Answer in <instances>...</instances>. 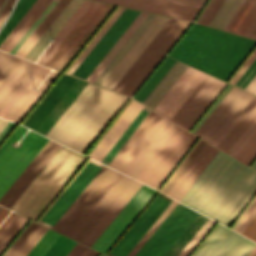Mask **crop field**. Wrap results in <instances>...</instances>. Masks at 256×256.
<instances>
[{"instance_id":"crop-field-1","label":"crop field","mask_w":256,"mask_h":256,"mask_svg":"<svg viewBox=\"0 0 256 256\" xmlns=\"http://www.w3.org/2000/svg\"><path fill=\"white\" fill-rule=\"evenodd\" d=\"M102 167L90 163V162ZM56 198V202L45 211L42 220L54 224L51 226L40 219L38 222L71 237L89 247L101 235L122 207L127 203L141 183L102 166L92 160ZM142 186V185H141Z\"/></svg>"},{"instance_id":"crop-field-2","label":"crop field","mask_w":256,"mask_h":256,"mask_svg":"<svg viewBox=\"0 0 256 256\" xmlns=\"http://www.w3.org/2000/svg\"><path fill=\"white\" fill-rule=\"evenodd\" d=\"M255 192L256 172L219 151L180 202L228 227Z\"/></svg>"},{"instance_id":"crop-field-3","label":"crop field","mask_w":256,"mask_h":256,"mask_svg":"<svg viewBox=\"0 0 256 256\" xmlns=\"http://www.w3.org/2000/svg\"><path fill=\"white\" fill-rule=\"evenodd\" d=\"M128 98L88 83L46 136L84 154Z\"/></svg>"},{"instance_id":"crop-field-4","label":"crop field","mask_w":256,"mask_h":256,"mask_svg":"<svg viewBox=\"0 0 256 256\" xmlns=\"http://www.w3.org/2000/svg\"><path fill=\"white\" fill-rule=\"evenodd\" d=\"M255 45L256 41L194 23L169 56L227 81Z\"/></svg>"},{"instance_id":"crop-field-5","label":"crop field","mask_w":256,"mask_h":256,"mask_svg":"<svg viewBox=\"0 0 256 256\" xmlns=\"http://www.w3.org/2000/svg\"><path fill=\"white\" fill-rule=\"evenodd\" d=\"M85 159L61 146L10 209L36 221Z\"/></svg>"},{"instance_id":"crop-field-6","label":"crop field","mask_w":256,"mask_h":256,"mask_svg":"<svg viewBox=\"0 0 256 256\" xmlns=\"http://www.w3.org/2000/svg\"><path fill=\"white\" fill-rule=\"evenodd\" d=\"M176 126L150 110L108 166L136 179Z\"/></svg>"},{"instance_id":"crop-field-7","label":"crop field","mask_w":256,"mask_h":256,"mask_svg":"<svg viewBox=\"0 0 256 256\" xmlns=\"http://www.w3.org/2000/svg\"><path fill=\"white\" fill-rule=\"evenodd\" d=\"M25 130L18 125L0 147V197L48 141L29 130L17 149L11 147V143L17 142Z\"/></svg>"},{"instance_id":"crop-field-8","label":"crop field","mask_w":256,"mask_h":256,"mask_svg":"<svg viewBox=\"0 0 256 256\" xmlns=\"http://www.w3.org/2000/svg\"><path fill=\"white\" fill-rule=\"evenodd\" d=\"M255 98L233 86L194 134L217 147Z\"/></svg>"},{"instance_id":"crop-field-9","label":"crop field","mask_w":256,"mask_h":256,"mask_svg":"<svg viewBox=\"0 0 256 256\" xmlns=\"http://www.w3.org/2000/svg\"><path fill=\"white\" fill-rule=\"evenodd\" d=\"M197 138L177 126L137 180L158 189Z\"/></svg>"},{"instance_id":"crop-field-10","label":"crop field","mask_w":256,"mask_h":256,"mask_svg":"<svg viewBox=\"0 0 256 256\" xmlns=\"http://www.w3.org/2000/svg\"><path fill=\"white\" fill-rule=\"evenodd\" d=\"M198 214L178 203L135 256H164Z\"/></svg>"},{"instance_id":"crop-field-11","label":"crop field","mask_w":256,"mask_h":256,"mask_svg":"<svg viewBox=\"0 0 256 256\" xmlns=\"http://www.w3.org/2000/svg\"><path fill=\"white\" fill-rule=\"evenodd\" d=\"M110 7V5L94 2L50 58L45 62L44 66L60 70Z\"/></svg>"},{"instance_id":"crop-field-12","label":"crop field","mask_w":256,"mask_h":256,"mask_svg":"<svg viewBox=\"0 0 256 256\" xmlns=\"http://www.w3.org/2000/svg\"><path fill=\"white\" fill-rule=\"evenodd\" d=\"M157 191L142 186L132 196L92 248L106 254Z\"/></svg>"},{"instance_id":"crop-field-13","label":"crop field","mask_w":256,"mask_h":256,"mask_svg":"<svg viewBox=\"0 0 256 256\" xmlns=\"http://www.w3.org/2000/svg\"><path fill=\"white\" fill-rule=\"evenodd\" d=\"M226 85L207 75L170 120L189 130Z\"/></svg>"},{"instance_id":"crop-field-14","label":"crop field","mask_w":256,"mask_h":256,"mask_svg":"<svg viewBox=\"0 0 256 256\" xmlns=\"http://www.w3.org/2000/svg\"><path fill=\"white\" fill-rule=\"evenodd\" d=\"M242 237L218 224L192 256H247L256 244Z\"/></svg>"},{"instance_id":"crop-field-15","label":"crop field","mask_w":256,"mask_h":256,"mask_svg":"<svg viewBox=\"0 0 256 256\" xmlns=\"http://www.w3.org/2000/svg\"><path fill=\"white\" fill-rule=\"evenodd\" d=\"M138 13L139 11L125 8L116 21L99 40V42L95 45V47L91 50V52L87 55V57L74 71L73 75L86 79L90 72L95 68L103 56L108 52L116 40L138 15Z\"/></svg>"},{"instance_id":"crop-field-16","label":"crop field","mask_w":256,"mask_h":256,"mask_svg":"<svg viewBox=\"0 0 256 256\" xmlns=\"http://www.w3.org/2000/svg\"><path fill=\"white\" fill-rule=\"evenodd\" d=\"M159 195L172 201V199L160 193ZM169 203L170 201L157 195L150 205L139 216V218L134 222V224L123 235V237L112 248L110 253L116 256H126L149 229V227L154 223V221L159 217V215L164 211V209L169 205ZM110 253H108V256H114Z\"/></svg>"},{"instance_id":"crop-field-17","label":"crop field","mask_w":256,"mask_h":256,"mask_svg":"<svg viewBox=\"0 0 256 256\" xmlns=\"http://www.w3.org/2000/svg\"><path fill=\"white\" fill-rule=\"evenodd\" d=\"M205 76L188 66L153 110L170 119Z\"/></svg>"},{"instance_id":"crop-field-18","label":"crop field","mask_w":256,"mask_h":256,"mask_svg":"<svg viewBox=\"0 0 256 256\" xmlns=\"http://www.w3.org/2000/svg\"><path fill=\"white\" fill-rule=\"evenodd\" d=\"M190 22L178 20L154 51L144 61L131 79L121 89L120 93L131 96L137 87L142 83L158 61L163 57L179 35L184 31Z\"/></svg>"},{"instance_id":"crop-field-19","label":"crop field","mask_w":256,"mask_h":256,"mask_svg":"<svg viewBox=\"0 0 256 256\" xmlns=\"http://www.w3.org/2000/svg\"><path fill=\"white\" fill-rule=\"evenodd\" d=\"M168 19V17L157 15L107 78L102 82L101 86L112 89Z\"/></svg>"},{"instance_id":"crop-field-20","label":"crop field","mask_w":256,"mask_h":256,"mask_svg":"<svg viewBox=\"0 0 256 256\" xmlns=\"http://www.w3.org/2000/svg\"><path fill=\"white\" fill-rule=\"evenodd\" d=\"M60 145L48 141L37 156L31 161L6 193L1 197L0 204L10 207L21 192L27 187L42 167L48 162L52 155L57 151Z\"/></svg>"},{"instance_id":"crop-field-21","label":"crop field","mask_w":256,"mask_h":256,"mask_svg":"<svg viewBox=\"0 0 256 256\" xmlns=\"http://www.w3.org/2000/svg\"><path fill=\"white\" fill-rule=\"evenodd\" d=\"M50 71L51 69L43 67L42 70L28 85V87L14 102V104L4 114L3 118L19 123L20 120L25 116V114L30 110L34 103L39 99V97L44 93V91L59 74V72L53 71L36 93L28 91L31 86L37 88Z\"/></svg>"},{"instance_id":"crop-field-22","label":"crop field","mask_w":256,"mask_h":256,"mask_svg":"<svg viewBox=\"0 0 256 256\" xmlns=\"http://www.w3.org/2000/svg\"><path fill=\"white\" fill-rule=\"evenodd\" d=\"M102 2L117 4L121 6L141 9L145 11L160 13L164 15L193 20L198 8L169 3L160 0H98Z\"/></svg>"},{"instance_id":"crop-field-23","label":"crop field","mask_w":256,"mask_h":256,"mask_svg":"<svg viewBox=\"0 0 256 256\" xmlns=\"http://www.w3.org/2000/svg\"><path fill=\"white\" fill-rule=\"evenodd\" d=\"M218 151L219 150L206 143L172 188L168 191L167 195L179 201Z\"/></svg>"},{"instance_id":"crop-field-24","label":"crop field","mask_w":256,"mask_h":256,"mask_svg":"<svg viewBox=\"0 0 256 256\" xmlns=\"http://www.w3.org/2000/svg\"><path fill=\"white\" fill-rule=\"evenodd\" d=\"M142 107L143 105L132 100L94 150L90 153L89 157L100 162L136 117Z\"/></svg>"},{"instance_id":"crop-field-25","label":"crop field","mask_w":256,"mask_h":256,"mask_svg":"<svg viewBox=\"0 0 256 256\" xmlns=\"http://www.w3.org/2000/svg\"><path fill=\"white\" fill-rule=\"evenodd\" d=\"M75 80L76 78L63 74L22 125L35 131Z\"/></svg>"},{"instance_id":"crop-field-26","label":"crop field","mask_w":256,"mask_h":256,"mask_svg":"<svg viewBox=\"0 0 256 256\" xmlns=\"http://www.w3.org/2000/svg\"><path fill=\"white\" fill-rule=\"evenodd\" d=\"M224 30L256 39V0H243Z\"/></svg>"},{"instance_id":"crop-field-27","label":"crop field","mask_w":256,"mask_h":256,"mask_svg":"<svg viewBox=\"0 0 256 256\" xmlns=\"http://www.w3.org/2000/svg\"><path fill=\"white\" fill-rule=\"evenodd\" d=\"M83 1L84 0H71L63 9V11L58 15V17L54 20V22L49 26V28L44 32V34L40 37V39L35 43L31 50L26 54L25 58L35 61L50 43L49 41H47L50 36L54 37L56 35V33L72 16V14L77 10V8L82 4Z\"/></svg>"},{"instance_id":"crop-field-28","label":"crop field","mask_w":256,"mask_h":256,"mask_svg":"<svg viewBox=\"0 0 256 256\" xmlns=\"http://www.w3.org/2000/svg\"><path fill=\"white\" fill-rule=\"evenodd\" d=\"M50 1L51 0H37L0 44V49L9 52L45 7L50 3Z\"/></svg>"},{"instance_id":"crop-field-29","label":"crop field","mask_w":256,"mask_h":256,"mask_svg":"<svg viewBox=\"0 0 256 256\" xmlns=\"http://www.w3.org/2000/svg\"><path fill=\"white\" fill-rule=\"evenodd\" d=\"M47 228L31 221L3 256H26Z\"/></svg>"},{"instance_id":"crop-field-30","label":"crop field","mask_w":256,"mask_h":256,"mask_svg":"<svg viewBox=\"0 0 256 256\" xmlns=\"http://www.w3.org/2000/svg\"><path fill=\"white\" fill-rule=\"evenodd\" d=\"M186 67L187 65L176 61L142 103L153 109Z\"/></svg>"},{"instance_id":"crop-field-31","label":"crop field","mask_w":256,"mask_h":256,"mask_svg":"<svg viewBox=\"0 0 256 256\" xmlns=\"http://www.w3.org/2000/svg\"><path fill=\"white\" fill-rule=\"evenodd\" d=\"M176 19L170 18L169 21L164 25L160 32L155 36L151 43L146 47L142 54L137 58V60L132 64L128 71L123 75L119 82L114 86L113 90L119 92L120 89L125 85V83L130 79L134 72L139 68L143 61L148 57V55L153 51L157 44L162 40L166 33L171 29V27L176 23Z\"/></svg>"},{"instance_id":"crop-field-32","label":"crop field","mask_w":256,"mask_h":256,"mask_svg":"<svg viewBox=\"0 0 256 256\" xmlns=\"http://www.w3.org/2000/svg\"><path fill=\"white\" fill-rule=\"evenodd\" d=\"M155 14L149 13L148 16L143 20L135 32L130 36L122 48L117 52L113 59L108 63L100 75L95 79L94 83L100 85L101 82L106 78L110 71L115 67L119 60L124 56L132 44L137 40L141 33L146 29L150 22L155 18Z\"/></svg>"},{"instance_id":"crop-field-33","label":"crop field","mask_w":256,"mask_h":256,"mask_svg":"<svg viewBox=\"0 0 256 256\" xmlns=\"http://www.w3.org/2000/svg\"><path fill=\"white\" fill-rule=\"evenodd\" d=\"M147 14L148 13L145 12L139 13V15L130 24V26L126 29V31L122 34L118 41L113 45V47L109 50V52L105 55V57L101 60L97 67L88 76V78L86 79L87 81H94V79L99 75V73L103 70L107 63L112 59V57L116 54L120 47L129 38V36L134 32V30L138 27L142 20L147 16Z\"/></svg>"},{"instance_id":"crop-field-34","label":"crop field","mask_w":256,"mask_h":256,"mask_svg":"<svg viewBox=\"0 0 256 256\" xmlns=\"http://www.w3.org/2000/svg\"><path fill=\"white\" fill-rule=\"evenodd\" d=\"M255 117L256 100L252 103V105L248 108L240 120L235 124V126L231 129L223 141L219 144L218 148L227 152Z\"/></svg>"},{"instance_id":"crop-field-35","label":"crop field","mask_w":256,"mask_h":256,"mask_svg":"<svg viewBox=\"0 0 256 256\" xmlns=\"http://www.w3.org/2000/svg\"><path fill=\"white\" fill-rule=\"evenodd\" d=\"M70 0H59L54 8L49 12L45 19L40 23L36 30L31 34L23 46L18 50L16 55L24 57L29 51L36 40L41 36V34L46 30V28L51 24V22L56 18V16L61 12V10L66 6Z\"/></svg>"},{"instance_id":"crop-field-36","label":"crop field","mask_w":256,"mask_h":256,"mask_svg":"<svg viewBox=\"0 0 256 256\" xmlns=\"http://www.w3.org/2000/svg\"><path fill=\"white\" fill-rule=\"evenodd\" d=\"M92 1L85 0L84 3L79 7V9L75 12V14L70 18V20L66 23V25L62 28V30L57 34L56 42L54 44H50V46L46 49V51L42 54V56L38 59L37 63L43 65L44 62L48 59V57L53 53V51L57 48V46L61 43V41L66 37V35L70 32V30L74 27V25L79 21V19L83 16V14L87 11V9L92 5Z\"/></svg>"},{"instance_id":"crop-field-37","label":"crop field","mask_w":256,"mask_h":256,"mask_svg":"<svg viewBox=\"0 0 256 256\" xmlns=\"http://www.w3.org/2000/svg\"><path fill=\"white\" fill-rule=\"evenodd\" d=\"M241 1L242 0H224L209 25L224 29Z\"/></svg>"},{"instance_id":"crop-field-38","label":"crop field","mask_w":256,"mask_h":256,"mask_svg":"<svg viewBox=\"0 0 256 256\" xmlns=\"http://www.w3.org/2000/svg\"><path fill=\"white\" fill-rule=\"evenodd\" d=\"M36 0H19L17 6L0 32V43L8 35V33L13 29V27L18 23L22 16L27 12V10L32 6Z\"/></svg>"},{"instance_id":"crop-field-39","label":"crop field","mask_w":256,"mask_h":256,"mask_svg":"<svg viewBox=\"0 0 256 256\" xmlns=\"http://www.w3.org/2000/svg\"><path fill=\"white\" fill-rule=\"evenodd\" d=\"M27 219L15 214L9 223L0 232V253L26 223Z\"/></svg>"},{"instance_id":"crop-field-40","label":"crop field","mask_w":256,"mask_h":256,"mask_svg":"<svg viewBox=\"0 0 256 256\" xmlns=\"http://www.w3.org/2000/svg\"><path fill=\"white\" fill-rule=\"evenodd\" d=\"M175 60L167 57L162 65L157 69L145 86L136 95L135 99L143 101V99L148 95V93L153 89V87L158 83V81L163 77V75L168 71V69L173 65Z\"/></svg>"},{"instance_id":"crop-field-41","label":"crop field","mask_w":256,"mask_h":256,"mask_svg":"<svg viewBox=\"0 0 256 256\" xmlns=\"http://www.w3.org/2000/svg\"><path fill=\"white\" fill-rule=\"evenodd\" d=\"M146 111H149L147 107L144 106ZM141 110V112L138 114V116L134 119V121L130 124V126L127 128V130L123 133V135L120 137V139L116 142V144L113 146V148L109 151V153L106 155L104 160L110 161V159L114 156V154L118 151V149L122 146V144L126 141V139L130 136V134L134 131V129L137 127V125L141 122V120L145 117V115L148 113L145 110ZM102 163L107 165V162L102 161Z\"/></svg>"},{"instance_id":"crop-field-42","label":"crop field","mask_w":256,"mask_h":256,"mask_svg":"<svg viewBox=\"0 0 256 256\" xmlns=\"http://www.w3.org/2000/svg\"><path fill=\"white\" fill-rule=\"evenodd\" d=\"M205 142L199 141V143L195 146V148L191 151V153L187 156V158L183 161V163L178 167V169L174 172V174L170 177V179L166 182V184L162 187L160 191L163 193H167V191L171 188L174 182L178 179V177L182 174L185 168L189 165V163L193 160V158L197 155L200 149L204 146Z\"/></svg>"},{"instance_id":"crop-field-43","label":"crop field","mask_w":256,"mask_h":256,"mask_svg":"<svg viewBox=\"0 0 256 256\" xmlns=\"http://www.w3.org/2000/svg\"><path fill=\"white\" fill-rule=\"evenodd\" d=\"M76 242L60 235L43 256H66Z\"/></svg>"},{"instance_id":"crop-field-44","label":"crop field","mask_w":256,"mask_h":256,"mask_svg":"<svg viewBox=\"0 0 256 256\" xmlns=\"http://www.w3.org/2000/svg\"><path fill=\"white\" fill-rule=\"evenodd\" d=\"M256 157V132L251 136V138L246 142V144L241 148V150L236 154L234 158L240 160L246 165L250 163Z\"/></svg>"},{"instance_id":"crop-field-45","label":"crop field","mask_w":256,"mask_h":256,"mask_svg":"<svg viewBox=\"0 0 256 256\" xmlns=\"http://www.w3.org/2000/svg\"><path fill=\"white\" fill-rule=\"evenodd\" d=\"M58 236L59 234L48 229L27 256H42Z\"/></svg>"},{"instance_id":"crop-field-46","label":"crop field","mask_w":256,"mask_h":256,"mask_svg":"<svg viewBox=\"0 0 256 256\" xmlns=\"http://www.w3.org/2000/svg\"><path fill=\"white\" fill-rule=\"evenodd\" d=\"M214 224L215 222L208 219L178 256H188L198 245V243L203 239V237L208 233V231L213 227Z\"/></svg>"},{"instance_id":"crop-field-47","label":"crop field","mask_w":256,"mask_h":256,"mask_svg":"<svg viewBox=\"0 0 256 256\" xmlns=\"http://www.w3.org/2000/svg\"><path fill=\"white\" fill-rule=\"evenodd\" d=\"M30 61L21 59L12 72L7 76V78L0 85V98L5 94L9 87L14 83V81L19 77V75L24 71V69L29 65Z\"/></svg>"},{"instance_id":"crop-field-48","label":"crop field","mask_w":256,"mask_h":256,"mask_svg":"<svg viewBox=\"0 0 256 256\" xmlns=\"http://www.w3.org/2000/svg\"><path fill=\"white\" fill-rule=\"evenodd\" d=\"M20 58L0 51V84L19 62Z\"/></svg>"},{"instance_id":"crop-field-49","label":"crop field","mask_w":256,"mask_h":256,"mask_svg":"<svg viewBox=\"0 0 256 256\" xmlns=\"http://www.w3.org/2000/svg\"><path fill=\"white\" fill-rule=\"evenodd\" d=\"M222 2L223 0H209L200 15L198 16L196 22L208 25Z\"/></svg>"},{"instance_id":"crop-field-50","label":"crop field","mask_w":256,"mask_h":256,"mask_svg":"<svg viewBox=\"0 0 256 256\" xmlns=\"http://www.w3.org/2000/svg\"><path fill=\"white\" fill-rule=\"evenodd\" d=\"M42 66L37 65L36 68L31 72V74L26 78L22 85L17 89V91L12 95L8 102L0 110V117L8 110V108L13 104L17 97L22 93V91L27 87L31 80L36 76V74L41 70ZM23 88V89H21Z\"/></svg>"},{"instance_id":"crop-field-51","label":"crop field","mask_w":256,"mask_h":256,"mask_svg":"<svg viewBox=\"0 0 256 256\" xmlns=\"http://www.w3.org/2000/svg\"><path fill=\"white\" fill-rule=\"evenodd\" d=\"M178 202L172 201V203L167 207V209L162 213V215L157 219L153 226L148 230V232L143 236L139 243L134 247V249L129 253L128 256H133L138 249L143 245L147 238L152 234V232L157 228V226L162 222V220L170 213V211L175 207Z\"/></svg>"},{"instance_id":"crop-field-52","label":"crop field","mask_w":256,"mask_h":256,"mask_svg":"<svg viewBox=\"0 0 256 256\" xmlns=\"http://www.w3.org/2000/svg\"><path fill=\"white\" fill-rule=\"evenodd\" d=\"M256 130V118L253 122L248 126V128L243 132V134L239 137V139L234 143V145L229 149L227 153L231 156H235V154L240 150V148L245 144V142L250 138V136Z\"/></svg>"},{"instance_id":"crop-field-53","label":"crop field","mask_w":256,"mask_h":256,"mask_svg":"<svg viewBox=\"0 0 256 256\" xmlns=\"http://www.w3.org/2000/svg\"><path fill=\"white\" fill-rule=\"evenodd\" d=\"M36 64L30 63V65L25 69V71L20 75V77L15 81L11 88L6 92V94L0 100V109L11 97V95L16 91V89L21 85L25 78L30 74V72L35 68Z\"/></svg>"},{"instance_id":"crop-field-54","label":"crop field","mask_w":256,"mask_h":256,"mask_svg":"<svg viewBox=\"0 0 256 256\" xmlns=\"http://www.w3.org/2000/svg\"><path fill=\"white\" fill-rule=\"evenodd\" d=\"M58 0H53L49 6L45 9V11L41 14V16L36 20V22L32 25V27L27 31V33L23 36V38L19 41V43L14 47V49L10 52L15 54L16 51L21 47V45L25 42V40L30 36V34L34 31V29L38 26V24L43 20V18L47 15V13L52 9V7L56 4ZM58 3V2H57ZM54 8V7H53ZM49 14V13H48ZM45 19V18H44ZM36 30V29H35ZM27 41V40H26ZM23 46V45H22ZM18 52V51H17Z\"/></svg>"},{"instance_id":"crop-field-55","label":"crop field","mask_w":256,"mask_h":256,"mask_svg":"<svg viewBox=\"0 0 256 256\" xmlns=\"http://www.w3.org/2000/svg\"><path fill=\"white\" fill-rule=\"evenodd\" d=\"M255 74H256V59L245 71V73L240 77V79L236 82L235 86L244 89L245 86L250 82V80L254 77Z\"/></svg>"},{"instance_id":"crop-field-56","label":"crop field","mask_w":256,"mask_h":256,"mask_svg":"<svg viewBox=\"0 0 256 256\" xmlns=\"http://www.w3.org/2000/svg\"><path fill=\"white\" fill-rule=\"evenodd\" d=\"M256 215V201L253 204V206L250 208V210L247 212V214L244 216V218L241 220V222L238 224V226L235 228V231L239 233H243V231L246 229V227L249 225V223L252 221V219Z\"/></svg>"},{"instance_id":"crop-field-57","label":"crop field","mask_w":256,"mask_h":256,"mask_svg":"<svg viewBox=\"0 0 256 256\" xmlns=\"http://www.w3.org/2000/svg\"><path fill=\"white\" fill-rule=\"evenodd\" d=\"M256 58V48L251 53V55L247 58V60L242 64V66L238 69V71L234 74V76L230 79L229 83L235 84V82L239 79V77L244 73V71L248 68V66L252 63V61Z\"/></svg>"},{"instance_id":"crop-field-58","label":"crop field","mask_w":256,"mask_h":256,"mask_svg":"<svg viewBox=\"0 0 256 256\" xmlns=\"http://www.w3.org/2000/svg\"><path fill=\"white\" fill-rule=\"evenodd\" d=\"M242 235L256 242V217L253 219V221L250 223V225L247 227Z\"/></svg>"},{"instance_id":"crop-field-59","label":"crop field","mask_w":256,"mask_h":256,"mask_svg":"<svg viewBox=\"0 0 256 256\" xmlns=\"http://www.w3.org/2000/svg\"><path fill=\"white\" fill-rule=\"evenodd\" d=\"M165 1L189 5V6L198 7V8H201L203 3L205 2V0H165Z\"/></svg>"},{"instance_id":"crop-field-60","label":"crop field","mask_w":256,"mask_h":256,"mask_svg":"<svg viewBox=\"0 0 256 256\" xmlns=\"http://www.w3.org/2000/svg\"><path fill=\"white\" fill-rule=\"evenodd\" d=\"M8 212H9V210H7V209H5V208L2 209V211L0 212V222L4 219V217L8 214ZM10 213H11V211L9 212V214H10ZM9 214L5 217V219L9 216ZM14 214H15V213L12 212V213L10 214V216H9L6 220L4 219V220H5L4 223H3L4 220L1 222V224H2V223H3V224H2V225L0 224V225H1V226H0V231H1V230L3 229V227L8 223V221L13 217Z\"/></svg>"},{"instance_id":"crop-field-61","label":"crop field","mask_w":256,"mask_h":256,"mask_svg":"<svg viewBox=\"0 0 256 256\" xmlns=\"http://www.w3.org/2000/svg\"><path fill=\"white\" fill-rule=\"evenodd\" d=\"M15 123L9 122L8 125L0 133V143L5 139V137L10 133V131L15 127Z\"/></svg>"},{"instance_id":"crop-field-62","label":"crop field","mask_w":256,"mask_h":256,"mask_svg":"<svg viewBox=\"0 0 256 256\" xmlns=\"http://www.w3.org/2000/svg\"><path fill=\"white\" fill-rule=\"evenodd\" d=\"M255 200H256V195L251 200V202L247 205V207L244 209V211L241 213V215L238 217L235 223L232 225L231 229L234 230V228L237 226V224L240 222V220L243 218V216L246 214V212L249 210V208L251 207V205L254 203Z\"/></svg>"},{"instance_id":"crop-field-63","label":"crop field","mask_w":256,"mask_h":256,"mask_svg":"<svg viewBox=\"0 0 256 256\" xmlns=\"http://www.w3.org/2000/svg\"><path fill=\"white\" fill-rule=\"evenodd\" d=\"M84 248L85 246L77 243L67 256H79V254L84 250Z\"/></svg>"},{"instance_id":"crop-field-64","label":"crop field","mask_w":256,"mask_h":256,"mask_svg":"<svg viewBox=\"0 0 256 256\" xmlns=\"http://www.w3.org/2000/svg\"><path fill=\"white\" fill-rule=\"evenodd\" d=\"M124 8L117 14V16L113 19V21L108 25V27L104 30V32L100 35V37L96 40V42L92 45V47L88 50V52L84 55V57L79 61V63L75 66V68L71 71L72 72L76 69V67L81 63V61L85 58V56L89 53V51L93 48V46L97 43V41L102 37V35L106 32V30L110 27V25L114 22V20L119 16V14L123 11Z\"/></svg>"},{"instance_id":"crop-field-65","label":"crop field","mask_w":256,"mask_h":256,"mask_svg":"<svg viewBox=\"0 0 256 256\" xmlns=\"http://www.w3.org/2000/svg\"><path fill=\"white\" fill-rule=\"evenodd\" d=\"M14 0H9L4 11L2 12V14L0 15V26L5 18V16L7 15L8 11L10 10L12 4H13Z\"/></svg>"},{"instance_id":"crop-field-66","label":"crop field","mask_w":256,"mask_h":256,"mask_svg":"<svg viewBox=\"0 0 256 256\" xmlns=\"http://www.w3.org/2000/svg\"><path fill=\"white\" fill-rule=\"evenodd\" d=\"M245 90L255 94L256 93V75L251 82L246 86Z\"/></svg>"},{"instance_id":"crop-field-67","label":"crop field","mask_w":256,"mask_h":256,"mask_svg":"<svg viewBox=\"0 0 256 256\" xmlns=\"http://www.w3.org/2000/svg\"><path fill=\"white\" fill-rule=\"evenodd\" d=\"M8 121L0 119V132L7 125Z\"/></svg>"},{"instance_id":"crop-field-68","label":"crop field","mask_w":256,"mask_h":256,"mask_svg":"<svg viewBox=\"0 0 256 256\" xmlns=\"http://www.w3.org/2000/svg\"><path fill=\"white\" fill-rule=\"evenodd\" d=\"M91 249H89V248H85V250L80 254V256H86L87 255V253L90 251Z\"/></svg>"},{"instance_id":"crop-field-69","label":"crop field","mask_w":256,"mask_h":256,"mask_svg":"<svg viewBox=\"0 0 256 256\" xmlns=\"http://www.w3.org/2000/svg\"><path fill=\"white\" fill-rule=\"evenodd\" d=\"M248 256H256V246L255 248L250 252Z\"/></svg>"},{"instance_id":"crop-field-70","label":"crop field","mask_w":256,"mask_h":256,"mask_svg":"<svg viewBox=\"0 0 256 256\" xmlns=\"http://www.w3.org/2000/svg\"><path fill=\"white\" fill-rule=\"evenodd\" d=\"M88 254V253H87ZM98 253L94 252V251H90L89 254L87 256H96Z\"/></svg>"},{"instance_id":"crop-field-71","label":"crop field","mask_w":256,"mask_h":256,"mask_svg":"<svg viewBox=\"0 0 256 256\" xmlns=\"http://www.w3.org/2000/svg\"><path fill=\"white\" fill-rule=\"evenodd\" d=\"M250 167L256 170V160L253 162V164Z\"/></svg>"},{"instance_id":"crop-field-72","label":"crop field","mask_w":256,"mask_h":256,"mask_svg":"<svg viewBox=\"0 0 256 256\" xmlns=\"http://www.w3.org/2000/svg\"><path fill=\"white\" fill-rule=\"evenodd\" d=\"M2 2H3V0H0V6H1Z\"/></svg>"},{"instance_id":"crop-field-73","label":"crop field","mask_w":256,"mask_h":256,"mask_svg":"<svg viewBox=\"0 0 256 256\" xmlns=\"http://www.w3.org/2000/svg\"><path fill=\"white\" fill-rule=\"evenodd\" d=\"M2 207H0V211H1Z\"/></svg>"},{"instance_id":"crop-field-74","label":"crop field","mask_w":256,"mask_h":256,"mask_svg":"<svg viewBox=\"0 0 256 256\" xmlns=\"http://www.w3.org/2000/svg\"><path fill=\"white\" fill-rule=\"evenodd\" d=\"M100 256H104V255L101 254Z\"/></svg>"}]
</instances>
